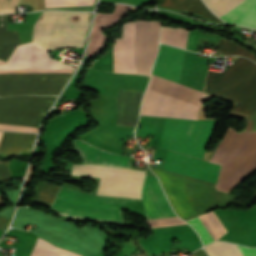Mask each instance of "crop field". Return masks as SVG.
I'll list each match as a JSON object with an SVG mask.
<instances>
[{
    "label": "crop field",
    "mask_w": 256,
    "mask_h": 256,
    "mask_svg": "<svg viewBox=\"0 0 256 256\" xmlns=\"http://www.w3.org/2000/svg\"><path fill=\"white\" fill-rule=\"evenodd\" d=\"M90 13L43 12L34 26L32 42L47 51L83 47ZM29 42L17 46L0 74H71L70 65L50 59ZM70 75H0V96L57 95Z\"/></svg>",
    "instance_id": "1"
},
{
    "label": "crop field",
    "mask_w": 256,
    "mask_h": 256,
    "mask_svg": "<svg viewBox=\"0 0 256 256\" xmlns=\"http://www.w3.org/2000/svg\"><path fill=\"white\" fill-rule=\"evenodd\" d=\"M152 169L161 179L174 209L185 220L214 207H227L234 198V196L217 192L213 187L214 184L156 168Z\"/></svg>",
    "instance_id": "2"
},
{
    "label": "crop field",
    "mask_w": 256,
    "mask_h": 256,
    "mask_svg": "<svg viewBox=\"0 0 256 256\" xmlns=\"http://www.w3.org/2000/svg\"><path fill=\"white\" fill-rule=\"evenodd\" d=\"M204 96L201 91L152 74L141 115L196 120Z\"/></svg>",
    "instance_id": "3"
},
{
    "label": "crop field",
    "mask_w": 256,
    "mask_h": 256,
    "mask_svg": "<svg viewBox=\"0 0 256 256\" xmlns=\"http://www.w3.org/2000/svg\"><path fill=\"white\" fill-rule=\"evenodd\" d=\"M210 161L221 164L216 189L228 192L256 170V131L236 132L228 128Z\"/></svg>",
    "instance_id": "4"
},
{
    "label": "crop field",
    "mask_w": 256,
    "mask_h": 256,
    "mask_svg": "<svg viewBox=\"0 0 256 256\" xmlns=\"http://www.w3.org/2000/svg\"><path fill=\"white\" fill-rule=\"evenodd\" d=\"M204 91L235 102L234 111L250 114L256 109V65L240 57L222 73L209 72Z\"/></svg>",
    "instance_id": "5"
},
{
    "label": "crop field",
    "mask_w": 256,
    "mask_h": 256,
    "mask_svg": "<svg viewBox=\"0 0 256 256\" xmlns=\"http://www.w3.org/2000/svg\"><path fill=\"white\" fill-rule=\"evenodd\" d=\"M137 201L94 196L61 186L52 208L64 216L122 222L120 209Z\"/></svg>",
    "instance_id": "6"
},
{
    "label": "crop field",
    "mask_w": 256,
    "mask_h": 256,
    "mask_svg": "<svg viewBox=\"0 0 256 256\" xmlns=\"http://www.w3.org/2000/svg\"><path fill=\"white\" fill-rule=\"evenodd\" d=\"M214 123L166 118L159 147L201 159Z\"/></svg>",
    "instance_id": "7"
},
{
    "label": "crop field",
    "mask_w": 256,
    "mask_h": 256,
    "mask_svg": "<svg viewBox=\"0 0 256 256\" xmlns=\"http://www.w3.org/2000/svg\"><path fill=\"white\" fill-rule=\"evenodd\" d=\"M73 174L101 177L97 194L140 198L144 171L100 165H75Z\"/></svg>",
    "instance_id": "8"
},
{
    "label": "crop field",
    "mask_w": 256,
    "mask_h": 256,
    "mask_svg": "<svg viewBox=\"0 0 256 256\" xmlns=\"http://www.w3.org/2000/svg\"><path fill=\"white\" fill-rule=\"evenodd\" d=\"M54 99L44 96L0 98V124L37 127Z\"/></svg>",
    "instance_id": "9"
},
{
    "label": "crop field",
    "mask_w": 256,
    "mask_h": 256,
    "mask_svg": "<svg viewBox=\"0 0 256 256\" xmlns=\"http://www.w3.org/2000/svg\"><path fill=\"white\" fill-rule=\"evenodd\" d=\"M160 21H137L135 33V69L137 74L149 75L157 51Z\"/></svg>",
    "instance_id": "10"
},
{
    "label": "crop field",
    "mask_w": 256,
    "mask_h": 256,
    "mask_svg": "<svg viewBox=\"0 0 256 256\" xmlns=\"http://www.w3.org/2000/svg\"><path fill=\"white\" fill-rule=\"evenodd\" d=\"M207 7L227 23L256 28V0H203Z\"/></svg>",
    "instance_id": "11"
},
{
    "label": "crop field",
    "mask_w": 256,
    "mask_h": 256,
    "mask_svg": "<svg viewBox=\"0 0 256 256\" xmlns=\"http://www.w3.org/2000/svg\"><path fill=\"white\" fill-rule=\"evenodd\" d=\"M219 167L210 162L167 151L163 169L216 183Z\"/></svg>",
    "instance_id": "12"
},
{
    "label": "crop field",
    "mask_w": 256,
    "mask_h": 256,
    "mask_svg": "<svg viewBox=\"0 0 256 256\" xmlns=\"http://www.w3.org/2000/svg\"><path fill=\"white\" fill-rule=\"evenodd\" d=\"M142 202L148 219L176 216L156 177L146 176L142 188Z\"/></svg>",
    "instance_id": "13"
},
{
    "label": "crop field",
    "mask_w": 256,
    "mask_h": 256,
    "mask_svg": "<svg viewBox=\"0 0 256 256\" xmlns=\"http://www.w3.org/2000/svg\"><path fill=\"white\" fill-rule=\"evenodd\" d=\"M135 22H125L121 39H114V72L134 73L133 42Z\"/></svg>",
    "instance_id": "14"
},
{
    "label": "crop field",
    "mask_w": 256,
    "mask_h": 256,
    "mask_svg": "<svg viewBox=\"0 0 256 256\" xmlns=\"http://www.w3.org/2000/svg\"><path fill=\"white\" fill-rule=\"evenodd\" d=\"M183 53V50L160 45L152 73L178 82Z\"/></svg>",
    "instance_id": "15"
},
{
    "label": "crop field",
    "mask_w": 256,
    "mask_h": 256,
    "mask_svg": "<svg viewBox=\"0 0 256 256\" xmlns=\"http://www.w3.org/2000/svg\"><path fill=\"white\" fill-rule=\"evenodd\" d=\"M144 91L120 89L117 100V125L135 127Z\"/></svg>",
    "instance_id": "16"
},
{
    "label": "crop field",
    "mask_w": 256,
    "mask_h": 256,
    "mask_svg": "<svg viewBox=\"0 0 256 256\" xmlns=\"http://www.w3.org/2000/svg\"><path fill=\"white\" fill-rule=\"evenodd\" d=\"M74 146L81 156L84 157V163L104 164L129 168V157L109 153L80 139L75 141Z\"/></svg>",
    "instance_id": "17"
},
{
    "label": "crop field",
    "mask_w": 256,
    "mask_h": 256,
    "mask_svg": "<svg viewBox=\"0 0 256 256\" xmlns=\"http://www.w3.org/2000/svg\"><path fill=\"white\" fill-rule=\"evenodd\" d=\"M127 9H131V10H135V11L137 10L136 8H133L128 5L117 4V5H115L113 15L112 14H102V13L96 14V17H95V20L93 23V27H92V31H91V36H90L87 53H86L87 57H89L92 54V52L96 49L97 44L100 39V29L107 27L111 15H112V17H111V20H110V23L108 26H112L113 23L117 19H119Z\"/></svg>",
    "instance_id": "18"
},
{
    "label": "crop field",
    "mask_w": 256,
    "mask_h": 256,
    "mask_svg": "<svg viewBox=\"0 0 256 256\" xmlns=\"http://www.w3.org/2000/svg\"><path fill=\"white\" fill-rule=\"evenodd\" d=\"M35 134L3 133L0 142V154L19 155L21 152H30Z\"/></svg>",
    "instance_id": "19"
},
{
    "label": "crop field",
    "mask_w": 256,
    "mask_h": 256,
    "mask_svg": "<svg viewBox=\"0 0 256 256\" xmlns=\"http://www.w3.org/2000/svg\"><path fill=\"white\" fill-rule=\"evenodd\" d=\"M160 7H166L183 12H192L213 21H221L206 8L201 0H162Z\"/></svg>",
    "instance_id": "20"
},
{
    "label": "crop field",
    "mask_w": 256,
    "mask_h": 256,
    "mask_svg": "<svg viewBox=\"0 0 256 256\" xmlns=\"http://www.w3.org/2000/svg\"><path fill=\"white\" fill-rule=\"evenodd\" d=\"M8 15L0 14V60L7 61L14 48L22 44L17 32H6Z\"/></svg>",
    "instance_id": "21"
},
{
    "label": "crop field",
    "mask_w": 256,
    "mask_h": 256,
    "mask_svg": "<svg viewBox=\"0 0 256 256\" xmlns=\"http://www.w3.org/2000/svg\"><path fill=\"white\" fill-rule=\"evenodd\" d=\"M30 256H81L71 253L59 247L46 242L43 239L37 240L35 247L33 248Z\"/></svg>",
    "instance_id": "22"
},
{
    "label": "crop field",
    "mask_w": 256,
    "mask_h": 256,
    "mask_svg": "<svg viewBox=\"0 0 256 256\" xmlns=\"http://www.w3.org/2000/svg\"><path fill=\"white\" fill-rule=\"evenodd\" d=\"M188 31L180 28H164L162 27L161 42L176 47L184 48Z\"/></svg>",
    "instance_id": "23"
},
{
    "label": "crop field",
    "mask_w": 256,
    "mask_h": 256,
    "mask_svg": "<svg viewBox=\"0 0 256 256\" xmlns=\"http://www.w3.org/2000/svg\"><path fill=\"white\" fill-rule=\"evenodd\" d=\"M205 228L208 230L214 241L218 240L226 231L213 213L207 212L198 216Z\"/></svg>",
    "instance_id": "24"
},
{
    "label": "crop field",
    "mask_w": 256,
    "mask_h": 256,
    "mask_svg": "<svg viewBox=\"0 0 256 256\" xmlns=\"http://www.w3.org/2000/svg\"><path fill=\"white\" fill-rule=\"evenodd\" d=\"M205 248L210 256H242L236 245L225 242H216Z\"/></svg>",
    "instance_id": "25"
},
{
    "label": "crop field",
    "mask_w": 256,
    "mask_h": 256,
    "mask_svg": "<svg viewBox=\"0 0 256 256\" xmlns=\"http://www.w3.org/2000/svg\"><path fill=\"white\" fill-rule=\"evenodd\" d=\"M217 51L225 54V55H240V56H245L247 58H250L256 63V59L253 54L245 51L244 49L234 45L228 40L221 39Z\"/></svg>",
    "instance_id": "26"
},
{
    "label": "crop field",
    "mask_w": 256,
    "mask_h": 256,
    "mask_svg": "<svg viewBox=\"0 0 256 256\" xmlns=\"http://www.w3.org/2000/svg\"><path fill=\"white\" fill-rule=\"evenodd\" d=\"M59 188V186L44 182L35 201L51 205Z\"/></svg>",
    "instance_id": "27"
},
{
    "label": "crop field",
    "mask_w": 256,
    "mask_h": 256,
    "mask_svg": "<svg viewBox=\"0 0 256 256\" xmlns=\"http://www.w3.org/2000/svg\"><path fill=\"white\" fill-rule=\"evenodd\" d=\"M94 0H45V8L92 5Z\"/></svg>",
    "instance_id": "28"
},
{
    "label": "crop field",
    "mask_w": 256,
    "mask_h": 256,
    "mask_svg": "<svg viewBox=\"0 0 256 256\" xmlns=\"http://www.w3.org/2000/svg\"><path fill=\"white\" fill-rule=\"evenodd\" d=\"M186 222H188L190 225H192L194 227V229L198 232L204 245H206L210 242H213V239L211 238V236L209 235L207 230L204 228V226L202 225V223L200 222L198 217L188 220Z\"/></svg>",
    "instance_id": "29"
},
{
    "label": "crop field",
    "mask_w": 256,
    "mask_h": 256,
    "mask_svg": "<svg viewBox=\"0 0 256 256\" xmlns=\"http://www.w3.org/2000/svg\"><path fill=\"white\" fill-rule=\"evenodd\" d=\"M151 228L185 224L178 217L147 220Z\"/></svg>",
    "instance_id": "30"
},
{
    "label": "crop field",
    "mask_w": 256,
    "mask_h": 256,
    "mask_svg": "<svg viewBox=\"0 0 256 256\" xmlns=\"http://www.w3.org/2000/svg\"><path fill=\"white\" fill-rule=\"evenodd\" d=\"M38 128L33 127H23V126H14V125H0V130H17V131H29L37 132Z\"/></svg>",
    "instance_id": "31"
},
{
    "label": "crop field",
    "mask_w": 256,
    "mask_h": 256,
    "mask_svg": "<svg viewBox=\"0 0 256 256\" xmlns=\"http://www.w3.org/2000/svg\"><path fill=\"white\" fill-rule=\"evenodd\" d=\"M256 130V110L247 118L246 127L243 131Z\"/></svg>",
    "instance_id": "32"
},
{
    "label": "crop field",
    "mask_w": 256,
    "mask_h": 256,
    "mask_svg": "<svg viewBox=\"0 0 256 256\" xmlns=\"http://www.w3.org/2000/svg\"><path fill=\"white\" fill-rule=\"evenodd\" d=\"M237 247L243 256H256V249H251L248 247L238 246V245Z\"/></svg>",
    "instance_id": "33"
},
{
    "label": "crop field",
    "mask_w": 256,
    "mask_h": 256,
    "mask_svg": "<svg viewBox=\"0 0 256 256\" xmlns=\"http://www.w3.org/2000/svg\"><path fill=\"white\" fill-rule=\"evenodd\" d=\"M2 133H3V132H0V139H1Z\"/></svg>",
    "instance_id": "34"
}]
</instances>
